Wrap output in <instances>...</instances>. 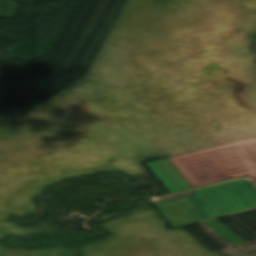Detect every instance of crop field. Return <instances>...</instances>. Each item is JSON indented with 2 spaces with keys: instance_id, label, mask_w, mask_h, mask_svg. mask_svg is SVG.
<instances>
[{
  "instance_id": "obj_4",
  "label": "crop field",
  "mask_w": 256,
  "mask_h": 256,
  "mask_svg": "<svg viewBox=\"0 0 256 256\" xmlns=\"http://www.w3.org/2000/svg\"><path fill=\"white\" fill-rule=\"evenodd\" d=\"M148 165L172 194L191 189L167 159Z\"/></svg>"
},
{
  "instance_id": "obj_5",
  "label": "crop field",
  "mask_w": 256,
  "mask_h": 256,
  "mask_svg": "<svg viewBox=\"0 0 256 256\" xmlns=\"http://www.w3.org/2000/svg\"><path fill=\"white\" fill-rule=\"evenodd\" d=\"M205 223L208 224L212 229H214L218 234H220L234 247L246 244L242 239H240L238 236H236L234 233H232L230 230H228L215 219L205 221Z\"/></svg>"
},
{
  "instance_id": "obj_3",
  "label": "crop field",
  "mask_w": 256,
  "mask_h": 256,
  "mask_svg": "<svg viewBox=\"0 0 256 256\" xmlns=\"http://www.w3.org/2000/svg\"><path fill=\"white\" fill-rule=\"evenodd\" d=\"M158 207L173 227L202 220L187 198L160 204Z\"/></svg>"
},
{
  "instance_id": "obj_2",
  "label": "crop field",
  "mask_w": 256,
  "mask_h": 256,
  "mask_svg": "<svg viewBox=\"0 0 256 256\" xmlns=\"http://www.w3.org/2000/svg\"><path fill=\"white\" fill-rule=\"evenodd\" d=\"M189 197L205 219L256 207V189L250 180H240L194 191Z\"/></svg>"
},
{
  "instance_id": "obj_1",
  "label": "crop field",
  "mask_w": 256,
  "mask_h": 256,
  "mask_svg": "<svg viewBox=\"0 0 256 256\" xmlns=\"http://www.w3.org/2000/svg\"><path fill=\"white\" fill-rule=\"evenodd\" d=\"M169 160L192 188L242 176H250L256 183V138Z\"/></svg>"
}]
</instances>
